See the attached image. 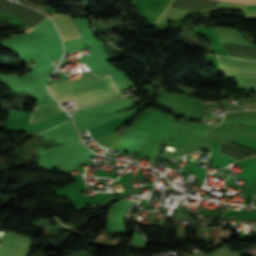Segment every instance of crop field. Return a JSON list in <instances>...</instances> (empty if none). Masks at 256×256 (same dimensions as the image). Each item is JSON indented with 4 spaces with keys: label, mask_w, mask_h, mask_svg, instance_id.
Segmentation results:
<instances>
[{
    "label": "crop field",
    "mask_w": 256,
    "mask_h": 256,
    "mask_svg": "<svg viewBox=\"0 0 256 256\" xmlns=\"http://www.w3.org/2000/svg\"><path fill=\"white\" fill-rule=\"evenodd\" d=\"M112 88H116V85L110 74L100 77L96 73L85 75L72 81L67 79L48 86V90L59 103ZM120 95H122L120 90L116 88L74 99V102L77 107H80Z\"/></svg>",
    "instance_id": "1"
},
{
    "label": "crop field",
    "mask_w": 256,
    "mask_h": 256,
    "mask_svg": "<svg viewBox=\"0 0 256 256\" xmlns=\"http://www.w3.org/2000/svg\"><path fill=\"white\" fill-rule=\"evenodd\" d=\"M50 18L57 26L63 41L80 38L81 35L72 18L64 14H53Z\"/></svg>",
    "instance_id": "2"
},
{
    "label": "crop field",
    "mask_w": 256,
    "mask_h": 256,
    "mask_svg": "<svg viewBox=\"0 0 256 256\" xmlns=\"http://www.w3.org/2000/svg\"><path fill=\"white\" fill-rule=\"evenodd\" d=\"M62 112L59 106L34 107L28 125L38 124Z\"/></svg>",
    "instance_id": "3"
},
{
    "label": "crop field",
    "mask_w": 256,
    "mask_h": 256,
    "mask_svg": "<svg viewBox=\"0 0 256 256\" xmlns=\"http://www.w3.org/2000/svg\"><path fill=\"white\" fill-rule=\"evenodd\" d=\"M224 74L237 75L243 77H256V68L244 66L221 65Z\"/></svg>",
    "instance_id": "4"
},
{
    "label": "crop field",
    "mask_w": 256,
    "mask_h": 256,
    "mask_svg": "<svg viewBox=\"0 0 256 256\" xmlns=\"http://www.w3.org/2000/svg\"><path fill=\"white\" fill-rule=\"evenodd\" d=\"M233 2H239V3H256V0H228Z\"/></svg>",
    "instance_id": "5"
},
{
    "label": "crop field",
    "mask_w": 256,
    "mask_h": 256,
    "mask_svg": "<svg viewBox=\"0 0 256 256\" xmlns=\"http://www.w3.org/2000/svg\"><path fill=\"white\" fill-rule=\"evenodd\" d=\"M247 11H256V5H248Z\"/></svg>",
    "instance_id": "6"
}]
</instances>
